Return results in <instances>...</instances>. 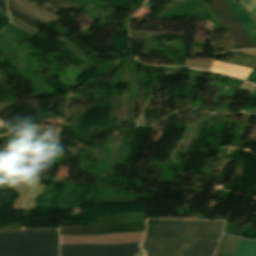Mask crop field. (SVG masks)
Listing matches in <instances>:
<instances>
[{
    "instance_id": "9",
    "label": "crop field",
    "mask_w": 256,
    "mask_h": 256,
    "mask_svg": "<svg viewBox=\"0 0 256 256\" xmlns=\"http://www.w3.org/2000/svg\"><path fill=\"white\" fill-rule=\"evenodd\" d=\"M214 60L219 62H224L216 59ZM224 63L253 69L256 65V57L234 51V57Z\"/></svg>"
},
{
    "instance_id": "1",
    "label": "crop field",
    "mask_w": 256,
    "mask_h": 256,
    "mask_svg": "<svg viewBox=\"0 0 256 256\" xmlns=\"http://www.w3.org/2000/svg\"><path fill=\"white\" fill-rule=\"evenodd\" d=\"M223 222L159 220L148 228L144 249L215 250Z\"/></svg>"
},
{
    "instance_id": "8",
    "label": "crop field",
    "mask_w": 256,
    "mask_h": 256,
    "mask_svg": "<svg viewBox=\"0 0 256 256\" xmlns=\"http://www.w3.org/2000/svg\"><path fill=\"white\" fill-rule=\"evenodd\" d=\"M214 252L146 250L145 256H213Z\"/></svg>"
},
{
    "instance_id": "4",
    "label": "crop field",
    "mask_w": 256,
    "mask_h": 256,
    "mask_svg": "<svg viewBox=\"0 0 256 256\" xmlns=\"http://www.w3.org/2000/svg\"><path fill=\"white\" fill-rule=\"evenodd\" d=\"M209 6L226 27L238 48H255L241 23L224 0H215Z\"/></svg>"
},
{
    "instance_id": "17",
    "label": "crop field",
    "mask_w": 256,
    "mask_h": 256,
    "mask_svg": "<svg viewBox=\"0 0 256 256\" xmlns=\"http://www.w3.org/2000/svg\"><path fill=\"white\" fill-rule=\"evenodd\" d=\"M3 1V0H2Z\"/></svg>"
},
{
    "instance_id": "11",
    "label": "crop field",
    "mask_w": 256,
    "mask_h": 256,
    "mask_svg": "<svg viewBox=\"0 0 256 256\" xmlns=\"http://www.w3.org/2000/svg\"><path fill=\"white\" fill-rule=\"evenodd\" d=\"M238 240L237 238L224 236L217 256H233Z\"/></svg>"
},
{
    "instance_id": "13",
    "label": "crop field",
    "mask_w": 256,
    "mask_h": 256,
    "mask_svg": "<svg viewBox=\"0 0 256 256\" xmlns=\"http://www.w3.org/2000/svg\"><path fill=\"white\" fill-rule=\"evenodd\" d=\"M8 10H9V12H10L11 15H13V16L19 18L20 20H22V21L28 23L29 25L35 27V24H36V21H35V20H33V19H31V18H29V17L23 15L22 13H20V12L14 10V9H12V8L9 7V6H8Z\"/></svg>"
},
{
    "instance_id": "10",
    "label": "crop field",
    "mask_w": 256,
    "mask_h": 256,
    "mask_svg": "<svg viewBox=\"0 0 256 256\" xmlns=\"http://www.w3.org/2000/svg\"><path fill=\"white\" fill-rule=\"evenodd\" d=\"M235 256H256V240L241 238Z\"/></svg>"
},
{
    "instance_id": "5",
    "label": "crop field",
    "mask_w": 256,
    "mask_h": 256,
    "mask_svg": "<svg viewBox=\"0 0 256 256\" xmlns=\"http://www.w3.org/2000/svg\"><path fill=\"white\" fill-rule=\"evenodd\" d=\"M145 223L106 226H60V234L89 235L122 231H144Z\"/></svg>"
},
{
    "instance_id": "2",
    "label": "crop field",
    "mask_w": 256,
    "mask_h": 256,
    "mask_svg": "<svg viewBox=\"0 0 256 256\" xmlns=\"http://www.w3.org/2000/svg\"><path fill=\"white\" fill-rule=\"evenodd\" d=\"M0 256H58L56 230H19L0 234Z\"/></svg>"
},
{
    "instance_id": "12",
    "label": "crop field",
    "mask_w": 256,
    "mask_h": 256,
    "mask_svg": "<svg viewBox=\"0 0 256 256\" xmlns=\"http://www.w3.org/2000/svg\"><path fill=\"white\" fill-rule=\"evenodd\" d=\"M241 2L256 22V0H241Z\"/></svg>"
},
{
    "instance_id": "6",
    "label": "crop field",
    "mask_w": 256,
    "mask_h": 256,
    "mask_svg": "<svg viewBox=\"0 0 256 256\" xmlns=\"http://www.w3.org/2000/svg\"><path fill=\"white\" fill-rule=\"evenodd\" d=\"M8 5L40 22L60 19L28 0H8Z\"/></svg>"
},
{
    "instance_id": "7",
    "label": "crop field",
    "mask_w": 256,
    "mask_h": 256,
    "mask_svg": "<svg viewBox=\"0 0 256 256\" xmlns=\"http://www.w3.org/2000/svg\"><path fill=\"white\" fill-rule=\"evenodd\" d=\"M256 46V26L238 0H225Z\"/></svg>"
},
{
    "instance_id": "14",
    "label": "crop field",
    "mask_w": 256,
    "mask_h": 256,
    "mask_svg": "<svg viewBox=\"0 0 256 256\" xmlns=\"http://www.w3.org/2000/svg\"><path fill=\"white\" fill-rule=\"evenodd\" d=\"M48 1L64 10L74 8V7H77V8L80 7V6L70 2L69 0H48Z\"/></svg>"
},
{
    "instance_id": "15",
    "label": "crop field",
    "mask_w": 256,
    "mask_h": 256,
    "mask_svg": "<svg viewBox=\"0 0 256 256\" xmlns=\"http://www.w3.org/2000/svg\"><path fill=\"white\" fill-rule=\"evenodd\" d=\"M12 23L18 25L19 27L29 31V32H33V33H37L38 34V31L37 30H34V28L28 26L27 24L23 23L22 21L18 20L17 18L13 17L12 19Z\"/></svg>"
},
{
    "instance_id": "3",
    "label": "crop field",
    "mask_w": 256,
    "mask_h": 256,
    "mask_svg": "<svg viewBox=\"0 0 256 256\" xmlns=\"http://www.w3.org/2000/svg\"><path fill=\"white\" fill-rule=\"evenodd\" d=\"M141 244L61 246V256H139Z\"/></svg>"
},
{
    "instance_id": "16",
    "label": "crop field",
    "mask_w": 256,
    "mask_h": 256,
    "mask_svg": "<svg viewBox=\"0 0 256 256\" xmlns=\"http://www.w3.org/2000/svg\"><path fill=\"white\" fill-rule=\"evenodd\" d=\"M0 8H2V9L5 10V11H7V9H6V4L3 3V2H1V1H0ZM7 12H8V11H7Z\"/></svg>"
}]
</instances>
